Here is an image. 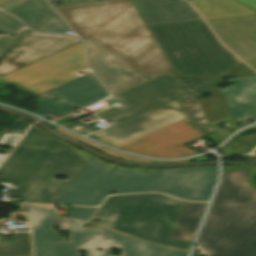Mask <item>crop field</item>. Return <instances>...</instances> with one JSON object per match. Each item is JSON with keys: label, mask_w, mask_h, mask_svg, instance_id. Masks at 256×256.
<instances>
[{"label": "crop field", "mask_w": 256, "mask_h": 256, "mask_svg": "<svg viewBox=\"0 0 256 256\" xmlns=\"http://www.w3.org/2000/svg\"><path fill=\"white\" fill-rule=\"evenodd\" d=\"M222 84L221 78L168 74L148 80L118 95L128 106L111 107L98 114L99 121L112 120L106 128L88 137L126 152L154 158L198 154L183 146L202 136L180 101L204 94ZM202 138V137H201Z\"/></svg>", "instance_id": "crop-field-1"}, {"label": "crop field", "mask_w": 256, "mask_h": 256, "mask_svg": "<svg viewBox=\"0 0 256 256\" xmlns=\"http://www.w3.org/2000/svg\"><path fill=\"white\" fill-rule=\"evenodd\" d=\"M55 9L87 39L88 63L112 94L144 80L140 74L175 73L131 0Z\"/></svg>", "instance_id": "crop-field-2"}, {"label": "crop field", "mask_w": 256, "mask_h": 256, "mask_svg": "<svg viewBox=\"0 0 256 256\" xmlns=\"http://www.w3.org/2000/svg\"><path fill=\"white\" fill-rule=\"evenodd\" d=\"M111 167L91 158L53 204H37L54 208L56 203L96 206L110 191L117 194L161 192L197 201H207L216 180V166L160 169L144 174ZM161 180L162 182H159Z\"/></svg>", "instance_id": "crop-field-3"}, {"label": "crop field", "mask_w": 256, "mask_h": 256, "mask_svg": "<svg viewBox=\"0 0 256 256\" xmlns=\"http://www.w3.org/2000/svg\"><path fill=\"white\" fill-rule=\"evenodd\" d=\"M197 243L208 256H256V166H223Z\"/></svg>", "instance_id": "crop-field-4"}, {"label": "crop field", "mask_w": 256, "mask_h": 256, "mask_svg": "<svg viewBox=\"0 0 256 256\" xmlns=\"http://www.w3.org/2000/svg\"><path fill=\"white\" fill-rule=\"evenodd\" d=\"M88 160L71 148L31 129L0 167V182L14 184L23 202L53 203ZM54 176H68L60 181Z\"/></svg>", "instance_id": "crop-field-5"}, {"label": "crop field", "mask_w": 256, "mask_h": 256, "mask_svg": "<svg viewBox=\"0 0 256 256\" xmlns=\"http://www.w3.org/2000/svg\"><path fill=\"white\" fill-rule=\"evenodd\" d=\"M182 202L160 194L110 196L89 220L145 240L188 250L192 242L170 240ZM97 208L72 206L67 216L87 221Z\"/></svg>", "instance_id": "crop-field-6"}, {"label": "crop field", "mask_w": 256, "mask_h": 256, "mask_svg": "<svg viewBox=\"0 0 256 256\" xmlns=\"http://www.w3.org/2000/svg\"><path fill=\"white\" fill-rule=\"evenodd\" d=\"M148 28L176 74L224 77L238 64L203 20Z\"/></svg>", "instance_id": "crop-field-7"}, {"label": "crop field", "mask_w": 256, "mask_h": 256, "mask_svg": "<svg viewBox=\"0 0 256 256\" xmlns=\"http://www.w3.org/2000/svg\"><path fill=\"white\" fill-rule=\"evenodd\" d=\"M86 68L83 45L80 42L9 73L3 78L20 84L37 95L79 77L76 72Z\"/></svg>", "instance_id": "crop-field-8"}, {"label": "crop field", "mask_w": 256, "mask_h": 256, "mask_svg": "<svg viewBox=\"0 0 256 256\" xmlns=\"http://www.w3.org/2000/svg\"><path fill=\"white\" fill-rule=\"evenodd\" d=\"M33 234L35 256H79V250L92 256L93 229H83V222L69 219V242H57L58 231L52 230L51 210L26 205Z\"/></svg>", "instance_id": "crop-field-9"}, {"label": "crop field", "mask_w": 256, "mask_h": 256, "mask_svg": "<svg viewBox=\"0 0 256 256\" xmlns=\"http://www.w3.org/2000/svg\"><path fill=\"white\" fill-rule=\"evenodd\" d=\"M80 40L73 36L32 31L10 47L0 64V76L71 46Z\"/></svg>", "instance_id": "crop-field-10"}, {"label": "crop field", "mask_w": 256, "mask_h": 256, "mask_svg": "<svg viewBox=\"0 0 256 256\" xmlns=\"http://www.w3.org/2000/svg\"><path fill=\"white\" fill-rule=\"evenodd\" d=\"M207 22L227 48L256 70V15Z\"/></svg>", "instance_id": "crop-field-11"}, {"label": "crop field", "mask_w": 256, "mask_h": 256, "mask_svg": "<svg viewBox=\"0 0 256 256\" xmlns=\"http://www.w3.org/2000/svg\"><path fill=\"white\" fill-rule=\"evenodd\" d=\"M112 247L121 248V256H186V251L175 250L137 240L109 229L94 228L93 256H112ZM102 248V251H98Z\"/></svg>", "instance_id": "crop-field-12"}, {"label": "crop field", "mask_w": 256, "mask_h": 256, "mask_svg": "<svg viewBox=\"0 0 256 256\" xmlns=\"http://www.w3.org/2000/svg\"><path fill=\"white\" fill-rule=\"evenodd\" d=\"M146 25L202 19L184 0H132Z\"/></svg>", "instance_id": "crop-field-13"}, {"label": "crop field", "mask_w": 256, "mask_h": 256, "mask_svg": "<svg viewBox=\"0 0 256 256\" xmlns=\"http://www.w3.org/2000/svg\"><path fill=\"white\" fill-rule=\"evenodd\" d=\"M235 83L219 90L237 123L256 121V76L234 79Z\"/></svg>", "instance_id": "crop-field-14"}, {"label": "crop field", "mask_w": 256, "mask_h": 256, "mask_svg": "<svg viewBox=\"0 0 256 256\" xmlns=\"http://www.w3.org/2000/svg\"><path fill=\"white\" fill-rule=\"evenodd\" d=\"M107 95L101 83L90 73L41 93L37 97L39 100L62 97L71 104L83 107Z\"/></svg>", "instance_id": "crop-field-15"}, {"label": "crop field", "mask_w": 256, "mask_h": 256, "mask_svg": "<svg viewBox=\"0 0 256 256\" xmlns=\"http://www.w3.org/2000/svg\"><path fill=\"white\" fill-rule=\"evenodd\" d=\"M205 18H221L256 14L235 0H188Z\"/></svg>", "instance_id": "crop-field-16"}, {"label": "crop field", "mask_w": 256, "mask_h": 256, "mask_svg": "<svg viewBox=\"0 0 256 256\" xmlns=\"http://www.w3.org/2000/svg\"><path fill=\"white\" fill-rule=\"evenodd\" d=\"M206 204L184 202L170 239L192 241Z\"/></svg>", "instance_id": "crop-field-17"}, {"label": "crop field", "mask_w": 256, "mask_h": 256, "mask_svg": "<svg viewBox=\"0 0 256 256\" xmlns=\"http://www.w3.org/2000/svg\"><path fill=\"white\" fill-rule=\"evenodd\" d=\"M9 13L20 18L32 29L52 15L41 7L39 0H29Z\"/></svg>", "instance_id": "crop-field-18"}, {"label": "crop field", "mask_w": 256, "mask_h": 256, "mask_svg": "<svg viewBox=\"0 0 256 256\" xmlns=\"http://www.w3.org/2000/svg\"><path fill=\"white\" fill-rule=\"evenodd\" d=\"M53 130H55V131H57L59 133H62L64 135L68 136V137H71V138H73L75 140H78V141H80L82 143H85V144H87V145H89V146H91V147H93V148H95V149H97V150H99V151H101V152H103L105 154H108V155H110L112 157H116V158H120V159H125V160H129V161H133V162H140V163H161V162H163V161L149 160V159H145V158H141V157H137V156H133V155H128V154L113 152V151H111L109 149H106V148H104L102 146L94 144V143H92V142H90V141H88V140H86L84 138H81V137H79V136H77V135H75V134H73L71 132H68V131L60 128V127H57V128H55ZM183 161H194V158L186 159V160H183ZM168 162H179V161H168Z\"/></svg>", "instance_id": "crop-field-19"}, {"label": "crop field", "mask_w": 256, "mask_h": 256, "mask_svg": "<svg viewBox=\"0 0 256 256\" xmlns=\"http://www.w3.org/2000/svg\"><path fill=\"white\" fill-rule=\"evenodd\" d=\"M14 241H0V255L31 253L29 233H13Z\"/></svg>", "instance_id": "crop-field-20"}, {"label": "crop field", "mask_w": 256, "mask_h": 256, "mask_svg": "<svg viewBox=\"0 0 256 256\" xmlns=\"http://www.w3.org/2000/svg\"><path fill=\"white\" fill-rule=\"evenodd\" d=\"M200 95H193L181 102L182 107L189 113V115L194 119V123L201 126L204 130L213 133L212 128L204 117L195 97Z\"/></svg>", "instance_id": "crop-field-21"}, {"label": "crop field", "mask_w": 256, "mask_h": 256, "mask_svg": "<svg viewBox=\"0 0 256 256\" xmlns=\"http://www.w3.org/2000/svg\"><path fill=\"white\" fill-rule=\"evenodd\" d=\"M57 100L58 99H56V100H49V101H45L43 103L38 104L37 106L40 109L35 111V112H33V113L37 114L39 116L44 117L41 114H43V113H45L47 111H50V112H52V113L62 117V116H64L63 113H65V112L75 108V107L69 105L68 103H66L65 101L59 103Z\"/></svg>", "instance_id": "crop-field-22"}, {"label": "crop field", "mask_w": 256, "mask_h": 256, "mask_svg": "<svg viewBox=\"0 0 256 256\" xmlns=\"http://www.w3.org/2000/svg\"><path fill=\"white\" fill-rule=\"evenodd\" d=\"M41 1L45 9L55 13V15L52 18H50L48 21H46L44 24H42L40 27H38L36 30L46 31V32H63V31L69 30L67 25L62 21L59 15L49 7L47 2L45 0H41Z\"/></svg>", "instance_id": "crop-field-23"}, {"label": "crop field", "mask_w": 256, "mask_h": 256, "mask_svg": "<svg viewBox=\"0 0 256 256\" xmlns=\"http://www.w3.org/2000/svg\"><path fill=\"white\" fill-rule=\"evenodd\" d=\"M23 25L12 16L0 11V33L2 34H14Z\"/></svg>", "instance_id": "crop-field-24"}, {"label": "crop field", "mask_w": 256, "mask_h": 256, "mask_svg": "<svg viewBox=\"0 0 256 256\" xmlns=\"http://www.w3.org/2000/svg\"><path fill=\"white\" fill-rule=\"evenodd\" d=\"M221 151L223 154L247 153V145L234 139L228 142Z\"/></svg>", "instance_id": "crop-field-25"}, {"label": "crop field", "mask_w": 256, "mask_h": 256, "mask_svg": "<svg viewBox=\"0 0 256 256\" xmlns=\"http://www.w3.org/2000/svg\"><path fill=\"white\" fill-rule=\"evenodd\" d=\"M251 69L245 66L243 63H239L232 71H230L225 77L233 78L239 76L255 75Z\"/></svg>", "instance_id": "crop-field-26"}, {"label": "crop field", "mask_w": 256, "mask_h": 256, "mask_svg": "<svg viewBox=\"0 0 256 256\" xmlns=\"http://www.w3.org/2000/svg\"><path fill=\"white\" fill-rule=\"evenodd\" d=\"M29 29H23L18 34H16L14 37H7L3 36L0 38V56L5 53L7 50V47L11 45L13 42H15L18 38H20L22 35H24Z\"/></svg>", "instance_id": "crop-field-27"}, {"label": "crop field", "mask_w": 256, "mask_h": 256, "mask_svg": "<svg viewBox=\"0 0 256 256\" xmlns=\"http://www.w3.org/2000/svg\"><path fill=\"white\" fill-rule=\"evenodd\" d=\"M30 123L32 122L24 118L18 117L6 133H23Z\"/></svg>", "instance_id": "crop-field-28"}, {"label": "crop field", "mask_w": 256, "mask_h": 256, "mask_svg": "<svg viewBox=\"0 0 256 256\" xmlns=\"http://www.w3.org/2000/svg\"><path fill=\"white\" fill-rule=\"evenodd\" d=\"M64 127L69 128V129H71L73 131H76L78 133H81L83 135L90 134V133H92L94 131H97V130L101 129L100 127H98L96 125H93V126L87 128V129H85L80 124H78V125L71 124V125L64 126Z\"/></svg>", "instance_id": "crop-field-29"}, {"label": "crop field", "mask_w": 256, "mask_h": 256, "mask_svg": "<svg viewBox=\"0 0 256 256\" xmlns=\"http://www.w3.org/2000/svg\"><path fill=\"white\" fill-rule=\"evenodd\" d=\"M33 127H35L37 130H39L43 135H45V136H47V137H49V138H51V139H54V140H56V141H59V142H61V143H63V144H66V143H64V142H62V141H60V140H58V139H56V138H54V137H52V136H50V135H48L45 131H43L40 127H38L37 125H33ZM66 145H68V144H66ZM68 146H70V145H68ZM72 149H74L77 153H79L80 155H82L83 157H85L86 159H90L93 155H91V154H89V153H87V152H84V151H82V150H80V149H77V148H75V147H73V146H70Z\"/></svg>", "instance_id": "crop-field-30"}, {"label": "crop field", "mask_w": 256, "mask_h": 256, "mask_svg": "<svg viewBox=\"0 0 256 256\" xmlns=\"http://www.w3.org/2000/svg\"><path fill=\"white\" fill-rule=\"evenodd\" d=\"M59 1L61 6L90 3V2H99L107 0H49V2Z\"/></svg>", "instance_id": "crop-field-31"}, {"label": "crop field", "mask_w": 256, "mask_h": 256, "mask_svg": "<svg viewBox=\"0 0 256 256\" xmlns=\"http://www.w3.org/2000/svg\"><path fill=\"white\" fill-rule=\"evenodd\" d=\"M26 1L27 0H10L4 5H2L0 8L9 12Z\"/></svg>", "instance_id": "crop-field-32"}, {"label": "crop field", "mask_w": 256, "mask_h": 256, "mask_svg": "<svg viewBox=\"0 0 256 256\" xmlns=\"http://www.w3.org/2000/svg\"><path fill=\"white\" fill-rule=\"evenodd\" d=\"M241 1L242 3L256 9V0H239Z\"/></svg>", "instance_id": "crop-field-33"}, {"label": "crop field", "mask_w": 256, "mask_h": 256, "mask_svg": "<svg viewBox=\"0 0 256 256\" xmlns=\"http://www.w3.org/2000/svg\"><path fill=\"white\" fill-rule=\"evenodd\" d=\"M199 250H200V249H199ZM199 250H198V248H197L196 245H195L194 250H193L191 256H203V254H202Z\"/></svg>", "instance_id": "crop-field-34"}, {"label": "crop field", "mask_w": 256, "mask_h": 256, "mask_svg": "<svg viewBox=\"0 0 256 256\" xmlns=\"http://www.w3.org/2000/svg\"><path fill=\"white\" fill-rule=\"evenodd\" d=\"M201 160H209L207 157H198V158H195V161H201Z\"/></svg>", "instance_id": "crop-field-35"}, {"label": "crop field", "mask_w": 256, "mask_h": 256, "mask_svg": "<svg viewBox=\"0 0 256 256\" xmlns=\"http://www.w3.org/2000/svg\"><path fill=\"white\" fill-rule=\"evenodd\" d=\"M0 83H9V82L6 81V80H3V79L0 77Z\"/></svg>", "instance_id": "crop-field-36"}, {"label": "crop field", "mask_w": 256, "mask_h": 256, "mask_svg": "<svg viewBox=\"0 0 256 256\" xmlns=\"http://www.w3.org/2000/svg\"><path fill=\"white\" fill-rule=\"evenodd\" d=\"M8 0H0V6L2 5V4H4L5 2H7Z\"/></svg>", "instance_id": "crop-field-37"}, {"label": "crop field", "mask_w": 256, "mask_h": 256, "mask_svg": "<svg viewBox=\"0 0 256 256\" xmlns=\"http://www.w3.org/2000/svg\"><path fill=\"white\" fill-rule=\"evenodd\" d=\"M17 256H31V255H17Z\"/></svg>", "instance_id": "crop-field-38"}, {"label": "crop field", "mask_w": 256, "mask_h": 256, "mask_svg": "<svg viewBox=\"0 0 256 256\" xmlns=\"http://www.w3.org/2000/svg\"><path fill=\"white\" fill-rule=\"evenodd\" d=\"M3 134L0 133V138L2 137Z\"/></svg>", "instance_id": "crop-field-39"}]
</instances>
